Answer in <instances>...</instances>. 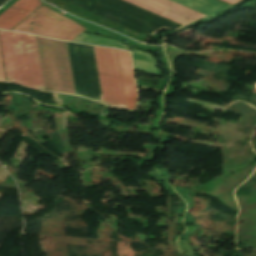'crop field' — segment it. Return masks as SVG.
<instances>
[{
	"mask_svg": "<svg viewBox=\"0 0 256 256\" xmlns=\"http://www.w3.org/2000/svg\"><path fill=\"white\" fill-rule=\"evenodd\" d=\"M0 44L7 81L45 91L36 36L0 31Z\"/></svg>",
	"mask_w": 256,
	"mask_h": 256,
	"instance_id": "obj_1",
	"label": "crop field"
},
{
	"mask_svg": "<svg viewBox=\"0 0 256 256\" xmlns=\"http://www.w3.org/2000/svg\"><path fill=\"white\" fill-rule=\"evenodd\" d=\"M37 39L46 91L75 94L66 42Z\"/></svg>",
	"mask_w": 256,
	"mask_h": 256,
	"instance_id": "obj_2",
	"label": "crop field"
},
{
	"mask_svg": "<svg viewBox=\"0 0 256 256\" xmlns=\"http://www.w3.org/2000/svg\"><path fill=\"white\" fill-rule=\"evenodd\" d=\"M84 29L42 6L13 30L71 41Z\"/></svg>",
	"mask_w": 256,
	"mask_h": 256,
	"instance_id": "obj_3",
	"label": "crop field"
},
{
	"mask_svg": "<svg viewBox=\"0 0 256 256\" xmlns=\"http://www.w3.org/2000/svg\"><path fill=\"white\" fill-rule=\"evenodd\" d=\"M103 103L125 108L116 50L94 47Z\"/></svg>",
	"mask_w": 256,
	"mask_h": 256,
	"instance_id": "obj_4",
	"label": "crop field"
},
{
	"mask_svg": "<svg viewBox=\"0 0 256 256\" xmlns=\"http://www.w3.org/2000/svg\"><path fill=\"white\" fill-rule=\"evenodd\" d=\"M135 6L143 8L147 11L155 13L159 16L172 20L176 23L184 25L188 22L205 17L195 11L180 6L169 0H124Z\"/></svg>",
	"mask_w": 256,
	"mask_h": 256,
	"instance_id": "obj_5",
	"label": "crop field"
},
{
	"mask_svg": "<svg viewBox=\"0 0 256 256\" xmlns=\"http://www.w3.org/2000/svg\"><path fill=\"white\" fill-rule=\"evenodd\" d=\"M117 53L126 108L136 109V89L129 52L117 50Z\"/></svg>",
	"mask_w": 256,
	"mask_h": 256,
	"instance_id": "obj_6",
	"label": "crop field"
},
{
	"mask_svg": "<svg viewBox=\"0 0 256 256\" xmlns=\"http://www.w3.org/2000/svg\"><path fill=\"white\" fill-rule=\"evenodd\" d=\"M40 5L39 0L17 1L0 15V28L10 30Z\"/></svg>",
	"mask_w": 256,
	"mask_h": 256,
	"instance_id": "obj_7",
	"label": "crop field"
},
{
	"mask_svg": "<svg viewBox=\"0 0 256 256\" xmlns=\"http://www.w3.org/2000/svg\"><path fill=\"white\" fill-rule=\"evenodd\" d=\"M206 16L213 15L228 5L218 0H172Z\"/></svg>",
	"mask_w": 256,
	"mask_h": 256,
	"instance_id": "obj_8",
	"label": "crop field"
},
{
	"mask_svg": "<svg viewBox=\"0 0 256 256\" xmlns=\"http://www.w3.org/2000/svg\"><path fill=\"white\" fill-rule=\"evenodd\" d=\"M134 68L136 71L143 73L151 74L154 76L160 75L159 71L156 68V61L151 54L142 53L133 50L132 51Z\"/></svg>",
	"mask_w": 256,
	"mask_h": 256,
	"instance_id": "obj_9",
	"label": "crop field"
},
{
	"mask_svg": "<svg viewBox=\"0 0 256 256\" xmlns=\"http://www.w3.org/2000/svg\"><path fill=\"white\" fill-rule=\"evenodd\" d=\"M72 41L74 42H81V43H89V44H96V45H102V46H108V47H116V48H124V49H130L116 41L98 38L94 36H89L84 34L83 32L79 34L75 39Z\"/></svg>",
	"mask_w": 256,
	"mask_h": 256,
	"instance_id": "obj_10",
	"label": "crop field"
},
{
	"mask_svg": "<svg viewBox=\"0 0 256 256\" xmlns=\"http://www.w3.org/2000/svg\"><path fill=\"white\" fill-rule=\"evenodd\" d=\"M0 81H5L3 67H2V61H1V55H0Z\"/></svg>",
	"mask_w": 256,
	"mask_h": 256,
	"instance_id": "obj_11",
	"label": "crop field"
},
{
	"mask_svg": "<svg viewBox=\"0 0 256 256\" xmlns=\"http://www.w3.org/2000/svg\"><path fill=\"white\" fill-rule=\"evenodd\" d=\"M222 1L227 2V3L233 5V4H235V3H237V2H239V1H241V0H222Z\"/></svg>",
	"mask_w": 256,
	"mask_h": 256,
	"instance_id": "obj_12",
	"label": "crop field"
}]
</instances>
